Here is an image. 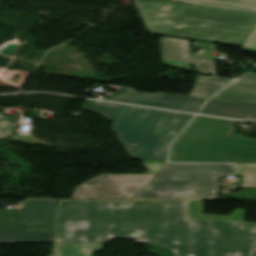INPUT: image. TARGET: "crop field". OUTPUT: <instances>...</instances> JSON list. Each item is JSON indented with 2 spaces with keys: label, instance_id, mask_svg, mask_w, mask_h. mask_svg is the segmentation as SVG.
I'll use <instances>...</instances> for the list:
<instances>
[{
  "label": "crop field",
  "instance_id": "crop-field-15",
  "mask_svg": "<svg viewBox=\"0 0 256 256\" xmlns=\"http://www.w3.org/2000/svg\"><path fill=\"white\" fill-rule=\"evenodd\" d=\"M246 213L247 211L237 209L229 216L203 215L202 201H189V218L244 221L243 217Z\"/></svg>",
  "mask_w": 256,
  "mask_h": 256
},
{
  "label": "crop field",
  "instance_id": "crop-field-9",
  "mask_svg": "<svg viewBox=\"0 0 256 256\" xmlns=\"http://www.w3.org/2000/svg\"><path fill=\"white\" fill-rule=\"evenodd\" d=\"M53 223H0V243H51Z\"/></svg>",
  "mask_w": 256,
  "mask_h": 256
},
{
  "label": "crop field",
  "instance_id": "crop-field-20",
  "mask_svg": "<svg viewBox=\"0 0 256 256\" xmlns=\"http://www.w3.org/2000/svg\"><path fill=\"white\" fill-rule=\"evenodd\" d=\"M242 51H244V52H250V53H256V51H254V50H246V49H242Z\"/></svg>",
  "mask_w": 256,
  "mask_h": 256
},
{
  "label": "crop field",
  "instance_id": "crop-field-18",
  "mask_svg": "<svg viewBox=\"0 0 256 256\" xmlns=\"http://www.w3.org/2000/svg\"><path fill=\"white\" fill-rule=\"evenodd\" d=\"M15 120H17L15 115L0 118V139L13 136L14 126H12V123Z\"/></svg>",
  "mask_w": 256,
  "mask_h": 256
},
{
  "label": "crop field",
  "instance_id": "crop-field-17",
  "mask_svg": "<svg viewBox=\"0 0 256 256\" xmlns=\"http://www.w3.org/2000/svg\"><path fill=\"white\" fill-rule=\"evenodd\" d=\"M236 175H243L240 187L256 188V164H239Z\"/></svg>",
  "mask_w": 256,
  "mask_h": 256
},
{
  "label": "crop field",
  "instance_id": "crop-field-2",
  "mask_svg": "<svg viewBox=\"0 0 256 256\" xmlns=\"http://www.w3.org/2000/svg\"><path fill=\"white\" fill-rule=\"evenodd\" d=\"M153 33L241 47L256 14L166 0L134 3Z\"/></svg>",
  "mask_w": 256,
  "mask_h": 256
},
{
  "label": "crop field",
  "instance_id": "crop-field-16",
  "mask_svg": "<svg viewBox=\"0 0 256 256\" xmlns=\"http://www.w3.org/2000/svg\"><path fill=\"white\" fill-rule=\"evenodd\" d=\"M224 85L225 83L197 79L189 96L208 99L214 92Z\"/></svg>",
  "mask_w": 256,
  "mask_h": 256
},
{
  "label": "crop field",
  "instance_id": "crop-field-1",
  "mask_svg": "<svg viewBox=\"0 0 256 256\" xmlns=\"http://www.w3.org/2000/svg\"><path fill=\"white\" fill-rule=\"evenodd\" d=\"M113 238L175 256H256V223L188 219V201H58L54 243Z\"/></svg>",
  "mask_w": 256,
  "mask_h": 256
},
{
  "label": "crop field",
  "instance_id": "crop-field-12",
  "mask_svg": "<svg viewBox=\"0 0 256 256\" xmlns=\"http://www.w3.org/2000/svg\"><path fill=\"white\" fill-rule=\"evenodd\" d=\"M201 113L240 119H256V105L209 100Z\"/></svg>",
  "mask_w": 256,
  "mask_h": 256
},
{
  "label": "crop field",
  "instance_id": "crop-field-8",
  "mask_svg": "<svg viewBox=\"0 0 256 256\" xmlns=\"http://www.w3.org/2000/svg\"><path fill=\"white\" fill-rule=\"evenodd\" d=\"M115 102L156 106L180 111L196 113L206 100L168 93L154 94L136 92L132 88L121 87L110 99Z\"/></svg>",
  "mask_w": 256,
  "mask_h": 256
},
{
  "label": "crop field",
  "instance_id": "crop-field-19",
  "mask_svg": "<svg viewBox=\"0 0 256 256\" xmlns=\"http://www.w3.org/2000/svg\"><path fill=\"white\" fill-rule=\"evenodd\" d=\"M242 47L256 49V24Z\"/></svg>",
  "mask_w": 256,
  "mask_h": 256
},
{
  "label": "crop field",
  "instance_id": "crop-field-5",
  "mask_svg": "<svg viewBox=\"0 0 256 256\" xmlns=\"http://www.w3.org/2000/svg\"><path fill=\"white\" fill-rule=\"evenodd\" d=\"M233 164L167 163L132 199H217V177L233 175Z\"/></svg>",
  "mask_w": 256,
  "mask_h": 256
},
{
  "label": "crop field",
  "instance_id": "crop-field-7",
  "mask_svg": "<svg viewBox=\"0 0 256 256\" xmlns=\"http://www.w3.org/2000/svg\"><path fill=\"white\" fill-rule=\"evenodd\" d=\"M162 64L191 71V64L196 65V72L212 74L211 77L198 78L228 83L230 78L216 76L215 64L212 60L190 57L189 42L184 39L159 38Z\"/></svg>",
  "mask_w": 256,
  "mask_h": 256
},
{
  "label": "crop field",
  "instance_id": "crop-field-13",
  "mask_svg": "<svg viewBox=\"0 0 256 256\" xmlns=\"http://www.w3.org/2000/svg\"><path fill=\"white\" fill-rule=\"evenodd\" d=\"M104 244H54L52 256H93L94 251H101Z\"/></svg>",
  "mask_w": 256,
  "mask_h": 256
},
{
  "label": "crop field",
  "instance_id": "crop-field-11",
  "mask_svg": "<svg viewBox=\"0 0 256 256\" xmlns=\"http://www.w3.org/2000/svg\"><path fill=\"white\" fill-rule=\"evenodd\" d=\"M211 99L256 104V74H242Z\"/></svg>",
  "mask_w": 256,
  "mask_h": 256
},
{
  "label": "crop field",
  "instance_id": "crop-field-10",
  "mask_svg": "<svg viewBox=\"0 0 256 256\" xmlns=\"http://www.w3.org/2000/svg\"><path fill=\"white\" fill-rule=\"evenodd\" d=\"M54 211L55 200H27L18 211L0 210V222H53Z\"/></svg>",
  "mask_w": 256,
  "mask_h": 256
},
{
  "label": "crop field",
  "instance_id": "crop-field-6",
  "mask_svg": "<svg viewBox=\"0 0 256 256\" xmlns=\"http://www.w3.org/2000/svg\"><path fill=\"white\" fill-rule=\"evenodd\" d=\"M151 175H100L75 188L72 198H127L149 182Z\"/></svg>",
  "mask_w": 256,
  "mask_h": 256
},
{
  "label": "crop field",
  "instance_id": "crop-field-4",
  "mask_svg": "<svg viewBox=\"0 0 256 256\" xmlns=\"http://www.w3.org/2000/svg\"><path fill=\"white\" fill-rule=\"evenodd\" d=\"M229 121L196 116L172 143L170 162H256V139L231 135Z\"/></svg>",
  "mask_w": 256,
  "mask_h": 256
},
{
  "label": "crop field",
  "instance_id": "crop-field-14",
  "mask_svg": "<svg viewBox=\"0 0 256 256\" xmlns=\"http://www.w3.org/2000/svg\"><path fill=\"white\" fill-rule=\"evenodd\" d=\"M256 13V0H174Z\"/></svg>",
  "mask_w": 256,
  "mask_h": 256
},
{
  "label": "crop field",
  "instance_id": "crop-field-3",
  "mask_svg": "<svg viewBox=\"0 0 256 256\" xmlns=\"http://www.w3.org/2000/svg\"><path fill=\"white\" fill-rule=\"evenodd\" d=\"M83 110L113 120V131L130 155L155 162H166L169 143L192 116L96 101H88Z\"/></svg>",
  "mask_w": 256,
  "mask_h": 256
}]
</instances>
